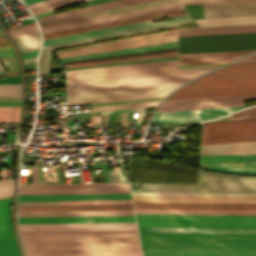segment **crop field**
I'll use <instances>...</instances> for the list:
<instances>
[{
	"label": "crop field",
	"instance_id": "8a807250",
	"mask_svg": "<svg viewBox=\"0 0 256 256\" xmlns=\"http://www.w3.org/2000/svg\"><path fill=\"white\" fill-rule=\"evenodd\" d=\"M217 67L68 81V96L182 85Z\"/></svg>",
	"mask_w": 256,
	"mask_h": 256
},
{
	"label": "crop field",
	"instance_id": "ac0d7876",
	"mask_svg": "<svg viewBox=\"0 0 256 256\" xmlns=\"http://www.w3.org/2000/svg\"><path fill=\"white\" fill-rule=\"evenodd\" d=\"M143 250L256 251V234L139 233Z\"/></svg>",
	"mask_w": 256,
	"mask_h": 256
},
{
	"label": "crop field",
	"instance_id": "34b2d1b8",
	"mask_svg": "<svg viewBox=\"0 0 256 256\" xmlns=\"http://www.w3.org/2000/svg\"><path fill=\"white\" fill-rule=\"evenodd\" d=\"M244 94H256V64L226 66L188 83L166 100Z\"/></svg>",
	"mask_w": 256,
	"mask_h": 256
},
{
	"label": "crop field",
	"instance_id": "412701ff",
	"mask_svg": "<svg viewBox=\"0 0 256 256\" xmlns=\"http://www.w3.org/2000/svg\"><path fill=\"white\" fill-rule=\"evenodd\" d=\"M26 256H141L138 240L23 242Z\"/></svg>",
	"mask_w": 256,
	"mask_h": 256
},
{
	"label": "crop field",
	"instance_id": "f4fd0767",
	"mask_svg": "<svg viewBox=\"0 0 256 256\" xmlns=\"http://www.w3.org/2000/svg\"><path fill=\"white\" fill-rule=\"evenodd\" d=\"M199 178L200 185H130H143V189H132V191L256 193V177L227 175L199 170Z\"/></svg>",
	"mask_w": 256,
	"mask_h": 256
},
{
	"label": "crop field",
	"instance_id": "dd49c442",
	"mask_svg": "<svg viewBox=\"0 0 256 256\" xmlns=\"http://www.w3.org/2000/svg\"><path fill=\"white\" fill-rule=\"evenodd\" d=\"M138 226L256 228V216L136 214Z\"/></svg>",
	"mask_w": 256,
	"mask_h": 256
},
{
	"label": "crop field",
	"instance_id": "e52e79f7",
	"mask_svg": "<svg viewBox=\"0 0 256 256\" xmlns=\"http://www.w3.org/2000/svg\"><path fill=\"white\" fill-rule=\"evenodd\" d=\"M142 158H130L129 163L144 164ZM129 164L131 177L136 182L198 183L197 169L145 160L144 166Z\"/></svg>",
	"mask_w": 256,
	"mask_h": 256
},
{
	"label": "crop field",
	"instance_id": "d8731c3e",
	"mask_svg": "<svg viewBox=\"0 0 256 256\" xmlns=\"http://www.w3.org/2000/svg\"><path fill=\"white\" fill-rule=\"evenodd\" d=\"M189 21H192V19L189 17L188 14L179 15L175 17L173 20H169V21H162V22H156V23H152V21H146V22H140V23L107 28L102 30H96L91 32H85L80 34L46 39L44 40L43 46L51 45V47H54L59 45H65V44H70V43H75L80 41H86V40H91V39H96L101 37H107V36H112V35H117L122 33H128V32H133V31H138L143 29H149V28L170 25L175 23L189 22Z\"/></svg>",
	"mask_w": 256,
	"mask_h": 256
},
{
	"label": "crop field",
	"instance_id": "5a996713",
	"mask_svg": "<svg viewBox=\"0 0 256 256\" xmlns=\"http://www.w3.org/2000/svg\"><path fill=\"white\" fill-rule=\"evenodd\" d=\"M256 138V119L203 123L201 142Z\"/></svg>",
	"mask_w": 256,
	"mask_h": 256
},
{
	"label": "crop field",
	"instance_id": "3316defc",
	"mask_svg": "<svg viewBox=\"0 0 256 256\" xmlns=\"http://www.w3.org/2000/svg\"><path fill=\"white\" fill-rule=\"evenodd\" d=\"M175 26H177V25L169 26V27H175ZM169 27H163V28H158V29H164V28H169ZM158 29H153V30H158ZM153 30H147V31H142V32H148V31H153ZM175 31H177V30L163 32V33H157V34H152V35H147V36H153V35L164 34V33L175 32ZM142 32H136V33H131V34H137V33H142ZM131 34H125V35H120V36H126V35H131ZM120 36H114V37H109V38L92 40V41H87V42H82V43H88V42H93V41L110 39V38H115V37H120ZM147 36H141V37H147ZM141 37H136V38H141ZM136 38H130V39H136ZM130 39L106 42V43H103V44L125 41V40H130ZM174 40H177V32L164 34V35L153 36V37L141 38V39H136V40H130V41H125V42H119V43H114V44H108V45L100 44V45H103V46L95 45L97 47L89 46V47H92V48L84 47L86 49H80V48H79L80 50L73 49L75 51H69L68 50L69 52H64L63 51L64 53H58L57 52L58 53L57 56H58V58H62V57H68V56H75V55H82V54L95 53V52H101V51L115 50V49L128 48V47H135V46L148 45V44L161 43V42H168V41H174ZM82 43H76V44H71V45L54 47L52 49L66 47V46H72V45H77V44H82Z\"/></svg>",
	"mask_w": 256,
	"mask_h": 256
},
{
	"label": "crop field",
	"instance_id": "28ad6ade",
	"mask_svg": "<svg viewBox=\"0 0 256 256\" xmlns=\"http://www.w3.org/2000/svg\"><path fill=\"white\" fill-rule=\"evenodd\" d=\"M23 241L138 239L137 231L21 232Z\"/></svg>",
	"mask_w": 256,
	"mask_h": 256
},
{
	"label": "crop field",
	"instance_id": "d1516ede",
	"mask_svg": "<svg viewBox=\"0 0 256 256\" xmlns=\"http://www.w3.org/2000/svg\"><path fill=\"white\" fill-rule=\"evenodd\" d=\"M200 167L228 173L256 174V155L200 156Z\"/></svg>",
	"mask_w": 256,
	"mask_h": 256
},
{
	"label": "crop field",
	"instance_id": "22f410ed",
	"mask_svg": "<svg viewBox=\"0 0 256 256\" xmlns=\"http://www.w3.org/2000/svg\"><path fill=\"white\" fill-rule=\"evenodd\" d=\"M251 99H256V95L164 101L163 104L156 110V112L238 106L244 105L243 100Z\"/></svg>",
	"mask_w": 256,
	"mask_h": 256
},
{
	"label": "crop field",
	"instance_id": "cbeb9de0",
	"mask_svg": "<svg viewBox=\"0 0 256 256\" xmlns=\"http://www.w3.org/2000/svg\"><path fill=\"white\" fill-rule=\"evenodd\" d=\"M21 231L137 230L135 223L19 224Z\"/></svg>",
	"mask_w": 256,
	"mask_h": 256
},
{
	"label": "crop field",
	"instance_id": "5142ce71",
	"mask_svg": "<svg viewBox=\"0 0 256 256\" xmlns=\"http://www.w3.org/2000/svg\"><path fill=\"white\" fill-rule=\"evenodd\" d=\"M243 107L244 106L161 112V113H155L150 122H154V121H159V123L193 122V121L213 118V117L223 115Z\"/></svg>",
	"mask_w": 256,
	"mask_h": 256
},
{
	"label": "crop field",
	"instance_id": "d9b57169",
	"mask_svg": "<svg viewBox=\"0 0 256 256\" xmlns=\"http://www.w3.org/2000/svg\"><path fill=\"white\" fill-rule=\"evenodd\" d=\"M181 8H182V6L180 5V3H177V4L166 5V6H160V7H154V8H149V9L127 12V13H121V14H116V15L82 20V21H77V22H71V23H66V24L43 27V28H41V30H42V33H45V32L57 31V30H62V29L74 28V27H79V26H85V25H90V24L102 23V22H107V21L119 20V19H124V18L136 17V16H141V15H147V14L164 12V11L181 9Z\"/></svg>",
	"mask_w": 256,
	"mask_h": 256
},
{
	"label": "crop field",
	"instance_id": "733c2abd",
	"mask_svg": "<svg viewBox=\"0 0 256 256\" xmlns=\"http://www.w3.org/2000/svg\"><path fill=\"white\" fill-rule=\"evenodd\" d=\"M132 197L134 202L256 204V198H239V197H167V196H132Z\"/></svg>",
	"mask_w": 256,
	"mask_h": 256
},
{
	"label": "crop field",
	"instance_id": "4a817a6b",
	"mask_svg": "<svg viewBox=\"0 0 256 256\" xmlns=\"http://www.w3.org/2000/svg\"><path fill=\"white\" fill-rule=\"evenodd\" d=\"M255 50L179 54V65L231 62Z\"/></svg>",
	"mask_w": 256,
	"mask_h": 256
},
{
	"label": "crop field",
	"instance_id": "bc2a9ffb",
	"mask_svg": "<svg viewBox=\"0 0 256 256\" xmlns=\"http://www.w3.org/2000/svg\"><path fill=\"white\" fill-rule=\"evenodd\" d=\"M205 18L256 15V2L203 5Z\"/></svg>",
	"mask_w": 256,
	"mask_h": 256
},
{
	"label": "crop field",
	"instance_id": "214f88e0",
	"mask_svg": "<svg viewBox=\"0 0 256 256\" xmlns=\"http://www.w3.org/2000/svg\"><path fill=\"white\" fill-rule=\"evenodd\" d=\"M135 209L256 210V205L134 203Z\"/></svg>",
	"mask_w": 256,
	"mask_h": 256
},
{
	"label": "crop field",
	"instance_id": "92a150f3",
	"mask_svg": "<svg viewBox=\"0 0 256 256\" xmlns=\"http://www.w3.org/2000/svg\"><path fill=\"white\" fill-rule=\"evenodd\" d=\"M183 13H186L184 9L169 11V12L152 14V15L141 16V17H136V18H130V19H124V20H119V21H113V22H107V23H102V24L79 27V28H74V29L45 33V34H43V37H44V39L52 38V37H57V36H62V35L79 33V32H84V31H89V30H95V29H100V28H106V27H111V26H116V25H122V24H127V23L143 21V20L174 16V15L183 14Z\"/></svg>",
	"mask_w": 256,
	"mask_h": 256
},
{
	"label": "crop field",
	"instance_id": "dafd665d",
	"mask_svg": "<svg viewBox=\"0 0 256 256\" xmlns=\"http://www.w3.org/2000/svg\"><path fill=\"white\" fill-rule=\"evenodd\" d=\"M135 222L134 216L19 218V223Z\"/></svg>",
	"mask_w": 256,
	"mask_h": 256
},
{
	"label": "crop field",
	"instance_id": "00972430",
	"mask_svg": "<svg viewBox=\"0 0 256 256\" xmlns=\"http://www.w3.org/2000/svg\"><path fill=\"white\" fill-rule=\"evenodd\" d=\"M131 199L130 194L19 195V201Z\"/></svg>",
	"mask_w": 256,
	"mask_h": 256
},
{
	"label": "crop field",
	"instance_id": "a9b5d70f",
	"mask_svg": "<svg viewBox=\"0 0 256 256\" xmlns=\"http://www.w3.org/2000/svg\"><path fill=\"white\" fill-rule=\"evenodd\" d=\"M256 154V142L201 146L200 155Z\"/></svg>",
	"mask_w": 256,
	"mask_h": 256
},
{
	"label": "crop field",
	"instance_id": "4177f3b9",
	"mask_svg": "<svg viewBox=\"0 0 256 256\" xmlns=\"http://www.w3.org/2000/svg\"><path fill=\"white\" fill-rule=\"evenodd\" d=\"M133 210L132 205L18 206V211Z\"/></svg>",
	"mask_w": 256,
	"mask_h": 256
},
{
	"label": "crop field",
	"instance_id": "730fd06b",
	"mask_svg": "<svg viewBox=\"0 0 256 256\" xmlns=\"http://www.w3.org/2000/svg\"><path fill=\"white\" fill-rule=\"evenodd\" d=\"M177 47V41L59 59L60 62Z\"/></svg>",
	"mask_w": 256,
	"mask_h": 256
},
{
	"label": "crop field",
	"instance_id": "eef30255",
	"mask_svg": "<svg viewBox=\"0 0 256 256\" xmlns=\"http://www.w3.org/2000/svg\"><path fill=\"white\" fill-rule=\"evenodd\" d=\"M138 230L139 232L256 233V229H240V228L138 227Z\"/></svg>",
	"mask_w": 256,
	"mask_h": 256
},
{
	"label": "crop field",
	"instance_id": "ae1a2a85",
	"mask_svg": "<svg viewBox=\"0 0 256 256\" xmlns=\"http://www.w3.org/2000/svg\"><path fill=\"white\" fill-rule=\"evenodd\" d=\"M256 31V25L179 29V36Z\"/></svg>",
	"mask_w": 256,
	"mask_h": 256
},
{
	"label": "crop field",
	"instance_id": "d3111659",
	"mask_svg": "<svg viewBox=\"0 0 256 256\" xmlns=\"http://www.w3.org/2000/svg\"><path fill=\"white\" fill-rule=\"evenodd\" d=\"M19 217L134 215L133 211L18 212Z\"/></svg>",
	"mask_w": 256,
	"mask_h": 256
},
{
	"label": "crop field",
	"instance_id": "750c4746",
	"mask_svg": "<svg viewBox=\"0 0 256 256\" xmlns=\"http://www.w3.org/2000/svg\"><path fill=\"white\" fill-rule=\"evenodd\" d=\"M143 256H256V252L142 251Z\"/></svg>",
	"mask_w": 256,
	"mask_h": 256
},
{
	"label": "crop field",
	"instance_id": "bd1437ed",
	"mask_svg": "<svg viewBox=\"0 0 256 256\" xmlns=\"http://www.w3.org/2000/svg\"><path fill=\"white\" fill-rule=\"evenodd\" d=\"M177 56V51L63 65L64 68Z\"/></svg>",
	"mask_w": 256,
	"mask_h": 256
},
{
	"label": "crop field",
	"instance_id": "1d83c4d3",
	"mask_svg": "<svg viewBox=\"0 0 256 256\" xmlns=\"http://www.w3.org/2000/svg\"><path fill=\"white\" fill-rule=\"evenodd\" d=\"M10 202L11 198L0 199V239L15 237L9 219Z\"/></svg>",
	"mask_w": 256,
	"mask_h": 256
},
{
	"label": "crop field",
	"instance_id": "120bbe31",
	"mask_svg": "<svg viewBox=\"0 0 256 256\" xmlns=\"http://www.w3.org/2000/svg\"><path fill=\"white\" fill-rule=\"evenodd\" d=\"M169 92H171V91L158 92V93H147V94H136V95H126V96L105 97V98L73 100V101H68V104L76 105V104H87V103L119 101V100H129V99H139V98L160 97V96H166Z\"/></svg>",
	"mask_w": 256,
	"mask_h": 256
},
{
	"label": "crop field",
	"instance_id": "d32e631a",
	"mask_svg": "<svg viewBox=\"0 0 256 256\" xmlns=\"http://www.w3.org/2000/svg\"><path fill=\"white\" fill-rule=\"evenodd\" d=\"M136 213H170V214H240L256 215V211H204V210H135Z\"/></svg>",
	"mask_w": 256,
	"mask_h": 256
},
{
	"label": "crop field",
	"instance_id": "5866460e",
	"mask_svg": "<svg viewBox=\"0 0 256 256\" xmlns=\"http://www.w3.org/2000/svg\"><path fill=\"white\" fill-rule=\"evenodd\" d=\"M172 69H177V65L152 67V68H142V69H132V70H122V71H112V72H102V73H92V74H82V75H72V76H68V80L80 79V78H89V77H97V76H107V75H118V74L140 73V72H150V71L172 70Z\"/></svg>",
	"mask_w": 256,
	"mask_h": 256
},
{
	"label": "crop field",
	"instance_id": "028f5c9d",
	"mask_svg": "<svg viewBox=\"0 0 256 256\" xmlns=\"http://www.w3.org/2000/svg\"><path fill=\"white\" fill-rule=\"evenodd\" d=\"M199 26L256 23V16L195 20Z\"/></svg>",
	"mask_w": 256,
	"mask_h": 256
},
{
	"label": "crop field",
	"instance_id": "e1f06a70",
	"mask_svg": "<svg viewBox=\"0 0 256 256\" xmlns=\"http://www.w3.org/2000/svg\"><path fill=\"white\" fill-rule=\"evenodd\" d=\"M129 187L128 184L19 185V189Z\"/></svg>",
	"mask_w": 256,
	"mask_h": 256
},
{
	"label": "crop field",
	"instance_id": "0bd39190",
	"mask_svg": "<svg viewBox=\"0 0 256 256\" xmlns=\"http://www.w3.org/2000/svg\"><path fill=\"white\" fill-rule=\"evenodd\" d=\"M60 202V201H47ZM75 204H132L131 200H103V201H61V205ZM18 205H60V203H18Z\"/></svg>",
	"mask_w": 256,
	"mask_h": 256
},
{
	"label": "crop field",
	"instance_id": "b80d0937",
	"mask_svg": "<svg viewBox=\"0 0 256 256\" xmlns=\"http://www.w3.org/2000/svg\"><path fill=\"white\" fill-rule=\"evenodd\" d=\"M105 15L103 10L39 22L41 27Z\"/></svg>",
	"mask_w": 256,
	"mask_h": 256
},
{
	"label": "crop field",
	"instance_id": "c035e120",
	"mask_svg": "<svg viewBox=\"0 0 256 256\" xmlns=\"http://www.w3.org/2000/svg\"><path fill=\"white\" fill-rule=\"evenodd\" d=\"M20 53L38 49L40 38L38 33L14 39Z\"/></svg>",
	"mask_w": 256,
	"mask_h": 256
},
{
	"label": "crop field",
	"instance_id": "c21b1889",
	"mask_svg": "<svg viewBox=\"0 0 256 256\" xmlns=\"http://www.w3.org/2000/svg\"><path fill=\"white\" fill-rule=\"evenodd\" d=\"M176 87H178V86L165 87V88H155V89H145V90L124 91V92H114V93L93 94V95H83V96H73V97H68V100L83 99V98H94V97H105V96H115V95H126V94H136V93H147V92H158V91H168V90H174Z\"/></svg>",
	"mask_w": 256,
	"mask_h": 256
},
{
	"label": "crop field",
	"instance_id": "03da06ac",
	"mask_svg": "<svg viewBox=\"0 0 256 256\" xmlns=\"http://www.w3.org/2000/svg\"><path fill=\"white\" fill-rule=\"evenodd\" d=\"M82 1H86V0H59V1H56V2L49 3V4H45V5H42V6L35 7V8H31V11L34 13V15H36V14H40V13L47 12V11H50V10H54V9H57V8H61V7H64V6L79 3V2H82Z\"/></svg>",
	"mask_w": 256,
	"mask_h": 256
},
{
	"label": "crop field",
	"instance_id": "b54c1fbb",
	"mask_svg": "<svg viewBox=\"0 0 256 256\" xmlns=\"http://www.w3.org/2000/svg\"><path fill=\"white\" fill-rule=\"evenodd\" d=\"M20 106L0 107V122H18Z\"/></svg>",
	"mask_w": 256,
	"mask_h": 256
},
{
	"label": "crop field",
	"instance_id": "5d738f31",
	"mask_svg": "<svg viewBox=\"0 0 256 256\" xmlns=\"http://www.w3.org/2000/svg\"><path fill=\"white\" fill-rule=\"evenodd\" d=\"M0 256H20L15 238L0 240Z\"/></svg>",
	"mask_w": 256,
	"mask_h": 256
},
{
	"label": "crop field",
	"instance_id": "d23c7cc5",
	"mask_svg": "<svg viewBox=\"0 0 256 256\" xmlns=\"http://www.w3.org/2000/svg\"><path fill=\"white\" fill-rule=\"evenodd\" d=\"M132 195H168V196H240V197H256V194H203V193H132Z\"/></svg>",
	"mask_w": 256,
	"mask_h": 256
},
{
	"label": "crop field",
	"instance_id": "425ffa30",
	"mask_svg": "<svg viewBox=\"0 0 256 256\" xmlns=\"http://www.w3.org/2000/svg\"><path fill=\"white\" fill-rule=\"evenodd\" d=\"M0 96H21V84L0 85Z\"/></svg>",
	"mask_w": 256,
	"mask_h": 256
},
{
	"label": "crop field",
	"instance_id": "25e5ab78",
	"mask_svg": "<svg viewBox=\"0 0 256 256\" xmlns=\"http://www.w3.org/2000/svg\"><path fill=\"white\" fill-rule=\"evenodd\" d=\"M50 52H52L51 48H42L39 58V74H47Z\"/></svg>",
	"mask_w": 256,
	"mask_h": 256
},
{
	"label": "crop field",
	"instance_id": "73cf0c24",
	"mask_svg": "<svg viewBox=\"0 0 256 256\" xmlns=\"http://www.w3.org/2000/svg\"><path fill=\"white\" fill-rule=\"evenodd\" d=\"M33 24H35V23H33ZM33 24H29V25H33ZM29 25H24V26H29ZM24 26H20V27H24ZM20 27H15V28H20ZM15 28H11V29H15ZM11 29H8V30H11ZM9 32L11 33L12 37L15 38V37L23 36V35L36 33L38 31H37L36 25H33V26H29V27L11 30Z\"/></svg>",
	"mask_w": 256,
	"mask_h": 256
},
{
	"label": "crop field",
	"instance_id": "89e229c0",
	"mask_svg": "<svg viewBox=\"0 0 256 256\" xmlns=\"http://www.w3.org/2000/svg\"><path fill=\"white\" fill-rule=\"evenodd\" d=\"M232 120L256 118V106L231 114Z\"/></svg>",
	"mask_w": 256,
	"mask_h": 256
},
{
	"label": "crop field",
	"instance_id": "1f2cbd36",
	"mask_svg": "<svg viewBox=\"0 0 256 256\" xmlns=\"http://www.w3.org/2000/svg\"><path fill=\"white\" fill-rule=\"evenodd\" d=\"M159 102L160 101L136 103V104H126V105H116V106H106V107H96V108H91V109H92V111H97V110L119 109V108H129V107L151 106V105H157Z\"/></svg>",
	"mask_w": 256,
	"mask_h": 256
},
{
	"label": "crop field",
	"instance_id": "dbb93151",
	"mask_svg": "<svg viewBox=\"0 0 256 256\" xmlns=\"http://www.w3.org/2000/svg\"><path fill=\"white\" fill-rule=\"evenodd\" d=\"M130 193L129 191L19 192V194Z\"/></svg>",
	"mask_w": 256,
	"mask_h": 256
},
{
	"label": "crop field",
	"instance_id": "0fb4a251",
	"mask_svg": "<svg viewBox=\"0 0 256 256\" xmlns=\"http://www.w3.org/2000/svg\"><path fill=\"white\" fill-rule=\"evenodd\" d=\"M110 182H127L121 169H107Z\"/></svg>",
	"mask_w": 256,
	"mask_h": 256
},
{
	"label": "crop field",
	"instance_id": "1d79db26",
	"mask_svg": "<svg viewBox=\"0 0 256 256\" xmlns=\"http://www.w3.org/2000/svg\"><path fill=\"white\" fill-rule=\"evenodd\" d=\"M0 60L2 64L5 66V68L8 70V72L19 70L15 56L2 57L0 58Z\"/></svg>",
	"mask_w": 256,
	"mask_h": 256
},
{
	"label": "crop field",
	"instance_id": "9d1cf04e",
	"mask_svg": "<svg viewBox=\"0 0 256 256\" xmlns=\"http://www.w3.org/2000/svg\"><path fill=\"white\" fill-rule=\"evenodd\" d=\"M172 59H177V57L154 59V60H145V61H135V62H126V63L107 64V65L88 66V67H79V68H69V69H65V70L91 68V67H101V66H111V65H122V64H132V63H142V62H152V61H162V60H172Z\"/></svg>",
	"mask_w": 256,
	"mask_h": 256
},
{
	"label": "crop field",
	"instance_id": "447ae74e",
	"mask_svg": "<svg viewBox=\"0 0 256 256\" xmlns=\"http://www.w3.org/2000/svg\"><path fill=\"white\" fill-rule=\"evenodd\" d=\"M142 110H147V107H142V108H131V109H119V110H108V111H97V112H92V114H93V115H98V114H109V113L131 112V111H142Z\"/></svg>",
	"mask_w": 256,
	"mask_h": 256
},
{
	"label": "crop field",
	"instance_id": "0765c3eb",
	"mask_svg": "<svg viewBox=\"0 0 256 256\" xmlns=\"http://www.w3.org/2000/svg\"><path fill=\"white\" fill-rule=\"evenodd\" d=\"M74 190H129V188H102V189H46V190H19V191H74Z\"/></svg>",
	"mask_w": 256,
	"mask_h": 256
},
{
	"label": "crop field",
	"instance_id": "db79e9e6",
	"mask_svg": "<svg viewBox=\"0 0 256 256\" xmlns=\"http://www.w3.org/2000/svg\"><path fill=\"white\" fill-rule=\"evenodd\" d=\"M247 63H256V53L251 54V55H249V56H247V57H245V58H243V59H241V60L231 64V65H234V64H247Z\"/></svg>",
	"mask_w": 256,
	"mask_h": 256
},
{
	"label": "crop field",
	"instance_id": "7b73153f",
	"mask_svg": "<svg viewBox=\"0 0 256 256\" xmlns=\"http://www.w3.org/2000/svg\"><path fill=\"white\" fill-rule=\"evenodd\" d=\"M13 186L0 188V198L12 196Z\"/></svg>",
	"mask_w": 256,
	"mask_h": 256
},
{
	"label": "crop field",
	"instance_id": "78b8030e",
	"mask_svg": "<svg viewBox=\"0 0 256 256\" xmlns=\"http://www.w3.org/2000/svg\"><path fill=\"white\" fill-rule=\"evenodd\" d=\"M4 83H20V76L5 77L0 80V84Z\"/></svg>",
	"mask_w": 256,
	"mask_h": 256
},
{
	"label": "crop field",
	"instance_id": "0f1d7ab4",
	"mask_svg": "<svg viewBox=\"0 0 256 256\" xmlns=\"http://www.w3.org/2000/svg\"><path fill=\"white\" fill-rule=\"evenodd\" d=\"M248 141H256V139L234 140V141H221V142H207V143H201V145H207V144H221V143H234V142H248Z\"/></svg>",
	"mask_w": 256,
	"mask_h": 256
},
{
	"label": "crop field",
	"instance_id": "e1d0b9f6",
	"mask_svg": "<svg viewBox=\"0 0 256 256\" xmlns=\"http://www.w3.org/2000/svg\"><path fill=\"white\" fill-rule=\"evenodd\" d=\"M144 114L145 112H139L135 128H139L141 126Z\"/></svg>",
	"mask_w": 256,
	"mask_h": 256
},
{
	"label": "crop field",
	"instance_id": "ae633e8c",
	"mask_svg": "<svg viewBox=\"0 0 256 256\" xmlns=\"http://www.w3.org/2000/svg\"><path fill=\"white\" fill-rule=\"evenodd\" d=\"M32 183H38L36 166L32 167Z\"/></svg>",
	"mask_w": 256,
	"mask_h": 256
},
{
	"label": "crop field",
	"instance_id": "d14b1444",
	"mask_svg": "<svg viewBox=\"0 0 256 256\" xmlns=\"http://www.w3.org/2000/svg\"><path fill=\"white\" fill-rule=\"evenodd\" d=\"M106 1H111V0H90V1H86V4L87 6H90V5H94V4H98Z\"/></svg>",
	"mask_w": 256,
	"mask_h": 256
},
{
	"label": "crop field",
	"instance_id": "c39391a2",
	"mask_svg": "<svg viewBox=\"0 0 256 256\" xmlns=\"http://www.w3.org/2000/svg\"><path fill=\"white\" fill-rule=\"evenodd\" d=\"M13 179L0 181V187L12 185Z\"/></svg>",
	"mask_w": 256,
	"mask_h": 256
},
{
	"label": "crop field",
	"instance_id": "ade564c9",
	"mask_svg": "<svg viewBox=\"0 0 256 256\" xmlns=\"http://www.w3.org/2000/svg\"><path fill=\"white\" fill-rule=\"evenodd\" d=\"M52 1H56V0H47V1H43V2H40V3L33 4V5H29V8L35 7V6H38V5H42V4H45V3H49V2H52Z\"/></svg>",
	"mask_w": 256,
	"mask_h": 256
},
{
	"label": "crop field",
	"instance_id": "c5b07064",
	"mask_svg": "<svg viewBox=\"0 0 256 256\" xmlns=\"http://www.w3.org/2000/svg\"><path fill=\"white\" fill-rule=\"evenodd\" d=\"M180 25H182V24H180ZM181 27H184V26H180L178 28H181ZM185 27H198V26L194 22H191V23H185Z\"/></svg>",
	"mask_w": 256,
	"mask_h": 256
},
{
	"label": "crop field",
	"instance_id": "c3a83c6f",
	"mask_svg": "<svg viewBox=\"0 0 256 256\" xmlns=\"http://www.w3.org/2000/svg\"><path fill=\"white\" fill-rule=\"evenodd\" d=\"M40 1H43V0H25V3L27 5H29V4H33V3H36V2H40Z\"/></svg>",
	"mask_w": 256,
	"mask_h": 256
},
{
	"label": "crop field",
	"instance_id": "fb207236",
	"mask_svg": "<svg viewBox=\"0 0 256 256\" xmlns=\"http://www.w3.org/2000/svg\"><path fill=\"white\" fill-rule=\"evenodd\" d=\"M132 118V113H129V116H128V119H131ZM135 120L136 119H132V124L134 125L135 124ZM128 124H131V120H128Z\"/></svg>",
	"mask_w": 256,
	"mask_h": 256
},
{
	"label": "crop field",
	"instance_id": "7312dd0a",
	"mask_svg": "<svg viewBox=\"0 0 256 256\" xmlns=\"http://www.w3.org/2000/svg\"><path fill=\"white\" fill-rule=\"evenodd\" d=\"M0 102H21V100H0Z\"/></svg>",
	"mask_w": 256,
	"mask_h": 256
},
{
	"label": "crop field",
	"instance_id": "180be81f",
	"mask_svg": "<svg viewBox=\"0 0 256 256\" xmlns=\"http://www.w3.org/2000/svg\"><path fill=\"white\" fill-rule=\"evenodd\" d=\"M100 124V116H97V125Z\"/></svg>",
	"mask_w": 256,
	"mask_h": 256
},
{
	"label": "crop field",
	"instance_id": "f0312440",
	"mask_svg": "<svg viewBox=\"0 0 256 256\" xmlns=\"http://www.w3.org/2000/svg\"><path fill=\"white\" fill-rule=\"evenodd\" d=\"M5 70H3V71H0V76H2V75H5Z\"/></svg>",
	"mask_w": 256,
	"mask_h": 256
},
{
	"label": "crop field",
	"instance_id": "1f1604b0",
	"mask_svg": "<svg viewBox=\"0 0 256 256\" xmlns=\"http://www.w3.org/2000/svg\"><path fill=\"white\" fill-rule=\"evenodd\" d=\"M0 70H3V68L0 66Z\"/></svg>",
	"mask_w": 256,
	"mask_h": 256
}]
</instances>
